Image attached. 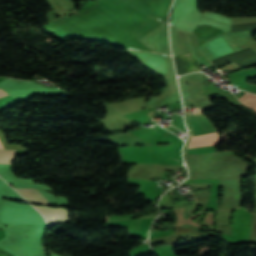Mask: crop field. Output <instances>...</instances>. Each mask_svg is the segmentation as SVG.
<instances>
[{"label":"crop field","mask_w":256,"mask_h":256,"mask_svg":"<svg viewBox=\"0 0 256 256\" xmlns=\"http://www.w3.org/2000/svg\"><path fill=\"white\" fill-rule=\"evenodd\" d=\"M35 207L38 210H40L43 213V215L46 217L48 226L66 222L69 220V214L66 209L50 208V207H43V206H35Z\"/></svg>","instance_id":"crop-field-1"},{"label":"crop field","mask_w":256,"mask_h":256,"mask_svg":"<svg viewBox=\"0 0 256 256\" xmlns=\"http://www.w3.org/2000/svg\"><path fill=\"white\" fill-rule=\"evenodd\" d=\"M20 194H22L30 203L51 205L53 206L46 197L37 189L33 188H16Z\"/></svg>","instance_id":"crop-field-2"},{"label":"crop field","mask_w":256,"mask_h":256,"mask_svg":"<svg viewBox=\"0 0 256 256\" xmlns=\"http://www.w3.org/2000/svg\"><path fill=\"white\" fill-rule=\"evenodd\" d=\"M219 140L217 132L194 136L191 139L189 148L215 145Z\"/></svg>","instance_id":"crop-field-3"},{"label":"crop field","mask_w":256,"mask_h":256,"mask_svg":"<svg viewBox=\"0 0 256 256\" xmlns=\"http://www.w3.org/2000/svg\"><path fill=\"white\" fill-rule=\"evenodd\" d=\"M16 150H3L0 149V163L11 164L15 157Z\"/></svg>","instance_id":"crop-field-4"},{"label":"crop field","mask_w":256,"mask_h":256,"mask_svg":"<svg viewBox=\"0 0 256 256\" xmlns=\"http://www.w3.org/2000/svg\"><path fill=\"white\" fill-rule=\"evenodd\" d=\"M239 99L243 104L256 111V95L246 92Z\"/></svg>","instance_id":"crop-field-5"},{"label":"crop field","mask_w":256,"mask_h":256,"mask_svg":"<svg viewBox=\"0 0 256 256\" xmlns=\"http://www.w3.org/2000/svg\"><path fill=\"white\" fill-rule=\"evenodd\" d=\"M5 95H8V94L0 89V97L5 96Z\"/></svg>","instance_id":"crop-field-6"},{"label":"crop field","mask_w":256,"mask_h":256,"mask_svg":"<svg viewBox=\"0 0 256 256\" xmlns=\"http://www.w3.org/2000/svg\"><path fill=\"white\" fill-rule=\"evenodd\" d=\"M0 148H4L3 145H2V143H1V141H0Z\"/></svg>","instance_id":"crop-field-7"}]
</instances>
